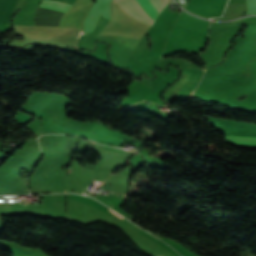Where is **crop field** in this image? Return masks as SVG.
<instances>
[{
    "label": "crop field",
    "instance_id": "obj_1",
    "mask_svg": "<svg viewBox=\"0 0 256 256\" xmlns=\"http://www.w3.org/2000/svg\"><path fill=\"white\" fill-rule=\"evenodd\" d=\"M139 5L142 7V9L146 12V14L149 16V18L152 20V22L155 21L157 17V12L149 2V0H136Z\"/></svg>",
    "mask_w": 256,
    "mask_h": 256
},
{
    "label": "crop field",
    "instance_id": "obj_2",
    "mask_svg": "<svg viewBox=\"0 0 256 256\" xmlns=\"http://www.w3.org/2000/svg\"><path fill=\"white\" fill-rule=\"evenodd\" d=\"M42 7H46V8H50V9H55V10H59V11H63L66 12V10L71 6L69 4H63V3H57V2H53V1H47V0H43Z\"/></svg>",
    "mask_w": 256,
    "mask_h": 256
},
{
    "label": "crop field",
    "instance_id": "obj_3",
    "mask_svg": "<svg viewBox=\"0 0 256 256\" xmlns=\"http://www.w3.org/2000/svg\"><path fill=\"white\" fill-rule=\"evenodd\" d=\"M225 139L231 141L232 143L240 144H256V138H246V137H230L225 136Z\"/></svg>",
    "mask_w": 256,
    "mask_h": 256
},
{
    "label": "crop field",
    "instance_id": "obj_4",
    "mask_svg": "<svg viewBox=\"0 0 256 256\" xmlns=\"http://www.w3.org/2000/svg\"><path fill=\"white\" fill-rule=\"evenodd\" d=\"M128 152V151H127Z\"/></svg>",
    "mask_w": 256,
    "mask_h": 256
}]
</instances>
